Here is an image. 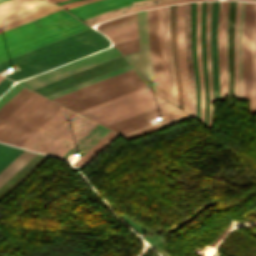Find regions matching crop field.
<instances>
[{"mask_svg":"<svg viewBox=\"0 0 256 256\" xmlns=\"http://www.w3.org/2000/svg\"><path fill=\"white\" fill-rule=\"evenodd\" d=\"M108 40L90 28L23 55L0 63V71L15 68L17 71L5 75L18 81L65 62L108 47Z\"/></svg>","mask_w":256,"mask_h":256,"instance_id":"obj_1","label":"crop field"},{"mask_svg":"<svg viewBox=\"0 0 256 256\" xmlns=\"http://www.w3.org/2000/svg\"><path fill=\"white\" fill-rule=\"evenodd\" d=\"M63 9L0 33V61L88 29Z\"/></svg>","mask_w":256,"mask_h":256,"instance_id":"obj_2","label":"crop field"},{"mask_svg":"<svg viewBox=\"0 0 256 256\" xmlns=\"http://www.w3.org/2000/svg\"><path fill=\"white\" fill-rule=\"evenodd\" d=\"M96 125L62 107L20 147L60 158Z\"/></svg>","mask_w":256,"mask_h":256,"instance_id":"obj_3","label":"crop field"},{"mask_svg":"<svg viewBox=\"0 0 256 256\" xmlns=\"http://www.w3.org/2000/svg\"><path fill=\"white\" fill-rule=\"evenodd\" d=\"M144 86L131 69L53 100L78 112Z\"/></svg>","mask_w":256,"mask_h":256,"instance_id":"obj_4","label":"crop field"},{"mask_svg":"<svg viewBox=\"0 0 256 256\" xmlns=\"http://www.w3.org/2000/svg\"><path fill=\"white\" fill-rule=\"evenodd\" d=\"M165 103L168 102L149 89L83 115L106 126Z\"/></svg>","mask_w":256,"mask_h":256,"instance_id":"obj_5","label":"crop field"},{"mask_svg":"<svg viewBox=\"0 0 256 256\" xmlns=\"http://www.w3.org/2000/svg\"><path fill=\"white\" fill-rule=\"evenodd\" d=\"M118 56H120V54L116 49L108 48L106 50L100 51L93 55L69 63L67 65L61 66L59 68L48 71L41 75L35 76L33 78H27L28 80L19 82L33 89L35 87L41 86L43 84L49 83L51 81L57 80L59 78L65 77L67 75L73 74L75 72H78L80 70L86 69L88 67L94 66L96 64L102 63L104 61L110 60Z\"/></svg>","mask_w":256,"mask_h":256,"instance_id":"obj_6","label":"crop field"},{"mask_svg":"<svg viewBox=\"0 0 256 256\" xmlns=\"http://www.w3.org/2000/svg\"><path fill=\"white\" fill-rule=\"evenodd\" d=\"M137 25L140 35L141 51L124 55V57L133 67V69L138 73V75L143 79V81L152 90L156 91L153 66L150 56L148 21L146 10L137 13Z\"/></svg>","mask_w":256,"mask_h":256,"instance_id":"obj_7","label":"crop field"},{"mask_svg":"<svg viewBox=\"0 0 256 256\" xmlns=\"http://www.w3.org/2000/svg\"><path fill=\"white\" fill-rule=\"evenodd\" d=\"M60 108L61 106L46 99L0 142L19 146Z\"/></svg>","mask_w":256,"mask_h":256,"instance_id":"obj_8","label":"crop field"},{"mask_svg":"<svg viewBox=\"0 0 256 256\" xmlns=\"http://www.w3.org/2000/svg\"><path fill=\"white\" fill-rule=\"evenodd\" d=\"M126 65H128V63L125 61V59L122 56H120L118 58L112 59L110 61L104 62L102 64L88 68L86 70L80 71L73 75L67 76L65 78L59 79L57 81L51 82L41 87L35 88L33 90L46 96L48 94L54 93L56 91L62 90L64 88L70 87L72 85L78 84L80 82L86 81L88 79L94 78L96 76L102 75L104 73L110 72L112 70L118 69Z\"/></svg>","mask_w":256,"mask_h":256,"instance_id":"obj_9","label":"crop field"},{"mask_svg":"<svg viewBox=\"0 0 256 256\" xmlns=\"http://www.w3.org/2000/svg\"><path fill=\"white\" fill-rule=\"evenodd\" d=\"M182 113L184 112L168 103L106 127L119 134H125L149 125L147 121L155 117L162 116L163 119L166 120Z\"/></svg>","mask_w":256,"mask_h":256,"instance_id":"obj_10","label":"crop field"},{"mask_svg":"<svg viewBox=\"0 0 256 256\" xmlns=\"http://www.w3.org/2000/svg\"><path fill=\"white\" fill-rule=\"evenodd\" d=\"M147 12H148V21H149L151 56H152L154 72H155L157 93H159L164 98H166L162 68H161V62H160V56H159V48H158L156 9H150V10H147Z\"/></svg>","mask_w":256,"mask_h":256,"instance_id":"obj_11","label":"crop field"},{"mask_svg":"<svg viewBox=\"0 0 256 256\" xmlns=\"http://www.w3.org/2000/svg\"><path fill=\"white\" fill-rule=\"evenodd\" d=\"M177 31H178V53L179 61L183 80V92H184V111L189 115L190 112V89L188 82V73L186 66V58L184 52V25H183V4L177 5Z\"/></svg>","mask_w":256,"mask_h":256,"instance_id":"obj_12","label":"crop field"},{"mask_svg":"<svg viewBox=\"0 0 256 256\" xmlns=\"http://www.w3.org/2000/svg\"><path fill=\"white\" fill-rule=\"evenodd\" d=\"M45 98L33 94L0 124V139L34 110Z\"/></svg>","mask_w":256,"mask_h":256,"instance_id":"obj_13","label":"crop field"},{"mask_svg":"<svg viewBox=\"0 0 256 256\" xmlns=\"http://www.w3.org/2000/svg\"><path fill=\"white\" fill-rule=\"evenodd\" d=\"M190 9L191 3L184 4V23H185V50L188 65L189 80L191 86V111L192 117L196 118V88L193 73L192 53H191V30H190Z\"/></svg>","mask_w":256,"mask_h":256,"instance_id":"obj_14","label":"crop field"},{"mask_svg":"<svg viewBox=\"0 0 256 256\" xmlns=\"http://www.w3.org/2000/svg\"><path fill=\"white\" fill-rule=\"evenodd\" d=\"M187 1H196V0H156V1H150V2H144L140 4H135V5H130L127 7H123L117 10L109 11L100 15H96L88 20H85L84 22L87 23L89 26H92L98 22H101L103 20L127 14L133 11H137L140 9H145V8H151V7H157V6H162L166 4H172V3H180V2H187Z\"/></svg>","mask_w":256,"mask_h":256,"instance_id":"obj_15","label":"crop field"},{"mask_svg":"<svg viewBox=\"0 0 256 256\" xmlns=\"http://www.w3.org/2000/svg\"><path fill=\"white\" fill-rule=\"evenodd\" d=\"M218 8H219V1L212 2L211 58H212V76H213V84H214V100L219 99V75H218V54H217Z\"/></svg>","mask_w":256,"mask_h":256,"instance_id":"obj_16","label":"crop field"},{"mask_svg":"<svg viewBox=\"0 0 256 256\" xmlns=\"http://www.w3.org/2000/svg\"><path fill=\"white\" fill-rule=\"evenodd\" d=\"M162 28H163V40H164V54L169 74L170 80V93H171V102L177 105L176 98V88H175V79H174V70L172 62V54L169 42V14L168 6L162 8Z\"/></svg>","mask_w":256,"mask_h":256,"instance_id":"obj_17","label":"crop field"},{"mask_svg":"<svg viewBox=\"0 0 256 256\" xmlns=\"http://www.w3.org/2000/svg\"><path fill=\"white\" fill-rule=\"evenodd\" d=\"M169 10H170V42H171L174 69H175L178 107L183 109L182 81L180 77L179 63H178V56H177L176 5L169 6Z\"/></svg>","mask_w":256,"mask_h":256,"instance_id":"obj_18","label":"crop field"},{"mask_svg":"<svg viewBox=\"0 0 256 256\" xmlns=\"http://www.w3.org/2000/svg\"><path fill=\"white\" fill-rule=\"evenodd\" d=\"M140 0H99L96 2L88 3L85 5L77 6L71 9H67L69 12L73 13L77 17L81 18L85 15L94 13L96 11L106 9L109 7L129 3V2H135Z\"/></svg>","mask_w":256,"mask_h":256,"instance_id":"obj_19","label":"crop field"},{"mask_svg":"<svg viewBox=\"0 0 256 256\" xmlns=\"http://www.w3.org/2000/svg\"><path fill=\"white\" fill-rule=\"evenodd\" d=\"M224 15L219 8L218 24V53H219V74H220V99L225 100V71H224Z\"/></svg>","mask_w":256,"mask_h":256,"instance_id":"obj_20","label":"crop field"},{"mask_svg":"<svg viewBox=\"0 0 256 256\" xmlns=\"http://www.w3.org/2000/svg\"><path fill=\"white\" fill-rule=\"evenodd\" d=\"M234 28L228 22L227 55H228V104L233 105V73H234Z\"/></svg>","mask_w":256,"mask_h":256,"instance_id":"obj_21","label":"crop field"},{"mask_svg":"<svg viewBox=\"0 0 256 256\" xmlns=\"http://www.w3.org/2000/svg\"><path fill=\"white\" fill-rule=\"evenodd\" d=\"M242 99H249V112H250V50L242 38Z\"/></svg>","mask_w":256,"mask_h":256,"instance_id":"obj_22","label":"crop field"},{"mask_svg":"<svg viewBox=\"0 0 256 256\" xmlns=\"http://www.w3.org/2000/svg\"><path fill=\"white\" fill-rule=\"evenodd\" d=\"M200 7H201V2L197 3V8H196V43H197V63H198V69H199L200 93H201L200 121L203 123L205 100H204L203 76H202V70H201V57H200Z\"/></svg>","mask_w":256,"mask_h":256,"instance_id":"obj_23","label":"crop field"},{"mask_svg":"<svg viewBox=\"0 0 256 256\" xmlns=\"http://www.w3.org/2000/svg\"><path fill=\"white\" fill-rule=\"evenodd\" d=\"M33 93L34 92L24 87L18 93H16L6 104L0 108V123Z\"/></svg>","mask_w":256,"mask_h":256,"instance_id":"obj_24","label":"crop field"},{"mask_svg":"<svg viewBox=\"0 0 256 256\" xmlns=\"http://www.w3.org/2000/svg\"><path fill=\"white\" fill-rule=\"evenodd\" d=\"M35 154L36 153L27 150L20 154L12 163H10L2 172H0V185H2Z\"/></svg>","mask_w":256,"mask_h":256,"instance_id":"obj_25","label":"crop field"},{"mask_svg":"<svg viewBox=\"0 0 256 256\" xmlns=\"http://www.w3.org/2000/svg\"><path fill=\"white\" fill-rule=\"evenodd\" d=\"M129 69H131V66H130V65H128V66H126V67H123V68H120V69H118V70L112 71V72H110V73L104 74V75H102V76L96 77V78H94V79L88 80V81H86V82L80 83V84H78V85L72 86V87H70V88L64 89V90H62V91L56 92V93H54V94L48 95V96H46V97H48V98H50V99H53V98H55V97L61 96V95L66 94V93H68V92H71V91H74V90H76V89L82 88V87H84V86H87V85H89V84L95 83V82H97V81H100V80H102V79L108 78V77H110V76L116 75V74H118V73H121V72L126 71V70H129Z\"/></svg>","mask_w":256,"mask_h":256,"instance_id":"obj_26","label":"crop field"},{"mask_svg":"<svg viewBox=\"0 0 256 256\" xmlns=\"http://www.w3.org/2000/svg\"><path fill=\"white\" fill-rule=\"evenodd\" d=\"M117 134L109 132L105 135L97 144H95L88 152H86L78 161H76L74 166H82L87 161H89L96 153H98L108 142H110Z\"/></svg>","mask_w":256,"mask_h":256,"instance_id":"obj_27","label":"crop field"},{"mask_svg":"<svg viewBox=\"0 0 256 256\" xmlns=\"http://www.w3.org/2000/svg\"><path fill=\"white\" fill-rule=\"evenodd\" d=\"M24 149L0 143V171L12 162Z\"/></svg>","mask_w":256,"mask_h":256,"instance_id":"obj_28","label":"crop field"},{"mask_svg":"<svg viewBox=\"0 0 256 256\" xmlns=\"http://www.w3.org/2000/svg\"><path fill=\"white\" fill-rule=\"evenodd\" d=\"M195 7L196 3H192V10H191V29H192V52H193V63L195 69V78L197 84V119L199 120V85H198V70H197V63H196V43H195Z\"/></svg>","mask_w":256,"mask_h":256,"instance_id":"obj_29","label":"crop field"},{"mask_svg":"<svg viewBox=\"0 0 256 256\" xmlns=\"http://www.w3.org/2000/svg\"><path fill=\"white\" fill-rule=\"evenodd\" d=\"M188 117H190V116H188V115H186V114L184 113V114H182V115H179V116H176V117H174V118L168 119V120H166V121H163V122H161V123L155 124V125L150 126V127H147V128L142 129V130H140V131H137V132H134V133H132V134L126 135V136H124V137H126V138L129 139V140H131V139H133V138H136V137H139V136H141V135L147 134V133H149V132L155 131V130H157V129H160V128H162V127L168 126V125L173 124V123H175V122H178V121H180V120L186 119V118H188Z\"/></svg>","mask_w":256,"mask_h":256,"instance_id":"obj_30","label":"crop field"},{"mask_svg":"<svg viewBox=\"0 0 256 256\" xmlns=\"http://www.w3.org/2000/svg\"><path fill=\"white\" fill-rule=\"evenodd\" d=\"M253 9H254V3L245 2L243 36L245 37L249 47L251 44V27H252V19H253Z\"/></svg>","mask_w":256,"mask_h":256,"instance_id":"obj_31","label":"crop field"},{"mask_svg":"<svg viewBox=\"0 0 256 256\" xmlns=\"http://www.w3.org/2000/svg\"><path fill=\"white\" fill-rule=\"evenodd\" d=\"M157 20H158L160 54H161V60H162V66H163L166 96H167V99L170 101L169 81H168L167 69H166V64H165V59H164V54H163V40H162V28H161V8L157 9Z\"/></svg>","mask_w":256,"mask_h":256,"instance_id":"obj_32","label":"crop field"},{"mask_svg":"<svg viewBox=\"0 0 256 256\" xmlns=\"http://www.w3.org/2000/svg\"><path fill=\"white\" fill-rule=\"evenodd\" d=\"M61 9L60 7H58L57 5L52 6L50 8L44 9L42 11L36 12L34 14L28 15L26 17L20 18L18 20L12 21L10 23L4 24L2 26H0V31L6 30L8 28H11L13 26L19 25L21 23L27 22L29 20L35 19L37 17L43 16L45 14L51 13L53 11L59 10Z\"/></svg>","mask_w":256,"mask_h":256,"instance_id":"obj_33","label":"crop field"},{"mask_svg":"<svg viewBox=\"0 0 256 256\" xmlns=\"http://www.w3.org/2000/svg\"><path fill=\"white\" fill-rule=\"evenodd\" d=\"M143 239H145L150 245L164 239L162 237H159L156 235V233H151V234H147L146 236L142 237ZM158 246H160L165 252L168 253L167 251V241L162 240L158 243H156ZM156 244L152 245V247L159 252L162 256H169L167 253H165L160 247H158Z\"/></svg>","mask_w":256,"mask_h":256,"instance_id":"obj_34","label":"crop field"},{"mask_svg":"<svg viewBox=\"0 0 256 256\" xmlns=\"http://www.w3.org/2000/svg\"><path fill=\"white\" fill-rule=\"evenodd\" d=\"M251 113H256V59L251 57Z\"/></svg>","mask_w":256,"mask_h":256,"instance_id":"obj_35","label":"crop field"},{"mask_svg":"<svg viewBox=\"0 0 256 256\" xmlns=\"http://www.w3.org/2000/svg\"><path fill=\"white\" fill-rule=\"evenodd\" d=\"M52 5H54V4L45 2V3H42V4H40V5L34 6V7H32V8L23 10V11L18 12V13H15V14H13V15L4 17V18L0 19V25H1V24H4V23H6V22L12 21V20H14V19L20 18V17H22V16L28 15V14H30V13L36 12V11H38V10L44 9V8H46V7L52 6Z\"/></svg>","mask_w":256,"mask_h":256,"instance_id":"obj_36","label":"crop field"},{"mask_svg":"<svg viewBox=\"0 0 256 256\" xmlns=\"http://www.w3.org/2000/svg\"><path fill=\"white\" fill-rule=\"evenodd\" d=\"M44 1H40V0H30L28 2H25V3H22L20 5H17V6H14V7H11L9 9H6V10H3V11H0V18L4 17V16H7V15H10V14H13L15 12H18V11H21L23 9H26V8H29V7H32L34 5H37V4H40Z\"/></svg>","mask_w":256,"mask_h":256,"instance_id":"obj_37","label":"crop field"},{"mask_svg":"<svg viewBox=\"0 0 256 256\" xmlns=\"http://www.w3.org/2000/svg\"><path fill=\"white\" fill-rule=\"evenodd\" d=\"M116 46L119 49V51L122 53V55L139 51L140 50L139 38L117 44Z\"/></svg>","mask_w":256,"mask_h":256,"instance_id":"obj_38","label":"crop field"},{"mask_svg":"<svg viewBox=\"0 0 256 256\" xmlns=\"http://www.w3.org/2000/svg\"><path fill=\"white\" fill-rule=\"evenodd\" d=\"M136 29H137V26H136V22H135V23L128 24V25H125V26H122V27H119V28H116V29H112V30H109V31H106V32H102V33L105 36H107L108 38H110V37L115 36L117 34L132 31V30H136Z\"/></svg>","mask_w":256,"mask_h":256,"instance_id":"obj_39","label":"crop field"},{"mask_svg":"<svg viewBox=\"0 0 256 256\" xmlns=\"http://www.w3.org/2000/svg\"><path fill=\"white\" fill-rule=\"evenodd\" d=\"M147 89H149L148 86H146V87H144V88H141V89H138V90H136V91L130 92V93H128V94H125V95H123V96L117 97V98H115V99L109 100V101H107V102L101 103V104L96 105V106H94V107L88 108V109H86V110L80 111V112H78V113L83 114V113H85V112L91 111V110H93V109L99 108V107H101V106L107 105V104H109V103L115 102V101H117V100L123 99V98H125V97L131 96V95H133V94L139 93V92L144 91V90H147Z\"/></svg>","mask_w":256,"mask_h":256,"instance_id":"obj_40","label":"crop field"},{"mask_svg":"<svg viewBox=\"0 0 256 256\" xmlns=\"http://www.w3.org/2000/svg\"><path fill=\"white\" fill-rule=\"evenodd\" d=\"M135 18H136V13L130 14V15H127V16H123V17H120V18H116V19H113V20H110V21H106V22H103L100 25H98L97 30H99L101 28H104V27H107V26L112 25V24L124 22V21H127V20L135 19Z\"/></svg>","mask_w":256,"mask_h":256,"instance_id":"obj_41","label":"crop field"},{"mask_svg":"<svg viewBox=\"0 0 256 256\" xmlns=\"http://www.w3.org/2000/svg\"><path fill=\"white\" fill-rule=\"evenodd\" d=\"M137 37H138V33H137V30H136V31H133V32H129V33L117 36V37L110 38V40L114 44H117V43H120V42H124V41L130 40V39L137 38Z\"/></svg>","mask_w":256,"mask_h":256,"instance_id":"obj_42","label":"crop field"},{"mask_svg":"<svg viewBox=\"0 0 256 256\" xmlns=\"http://www.w3.org/2000/svg\"><path fill=\"white\" fill-rule=\"evenodd\" d=\"M238 75H239V88L238 99H241V36L238 33Z\"/></svg>","mask_w":256,"mask_h":256,"instance_id":"obj_43","label":"crop field"},{"mask_svg":"<svg viewBox=\"0 0 256 256\" xmlns=\"http://www.w3.org/2000/svg\"><path fill=\"white\" fill-rule=\"evenodd\" d=\"M22 86L15 84L11 89H9L1 98H0V107L9 100L17 91H19Z\"/></svg>","mask_w":256,"mask_h":256,"instance_id":"obj_44","label":"crop field"},{"mask_svg":"<svg viewBox=\"0 0 256 256\" xmlns=\"http://www.w3.org/2000/svg\"><path fill=\"white\" fill-rule=\"evenodd\" d=\"M208 10H209V2H207V8H206V54H207V67H208V82H209V99L211 104V98H210V80H209V60H208V49H207V37H208ZM209 117H210V108H209ZM207 127L209 128V121Z\"/></svg>","mask_w":256,"mask_h":256,"instance_id":"obj_45","label":"crop field"},{"mask_svg":"<svg viewBox=\"0 0 256 256\" xmlns=\"http://www.w3.org/2000/svg\"><path fill=\"white\" fill-rule=\"evenodd\" d=\"M251 50L256 56V3H255V10H254V21H253V28H252V45Z\"/></svg>","mask_w":256,"mask_h":256,"instance_id":"obj_46","label":"crop field"},{"mask_svg":"<svg viewBox=\"0 0 256 256\" xmlns=\"http://www.w3.org/2000/svg\"><path fill=\"white\" fill-rule=\"evenodd\" d=\"M210 9H211V2H210ZM208 45H209V59H210L211 98H212L213 84H212V76H211V58H210V11H209V37H208ZM212 113H213V104H211L210 128H211V123H212Z\"/></svg>","mask_w":256,"mask_h":256,"instance_id":"obj_47","label":"crop field"},{"mask_svg":"<svg viewBox=\"0 0 256 256\" xmlns=\"http://www.w3.org/2000/svg\"><path fill=\"white\" fill-rule=\"evenodd\" d=\"M235 90H234V96H237V87H238V79H237V31L235 30Z\"/></svg>","mask_w":256,"mask_h":256,"instance_id":"obj_48","label":"crop field"},{"mask_svg":"<svg viewBox=\"0 0 256 256\" xmlns=\"http://www.w3.org/2000/svg\"><path fill=\"white\" fill-rule=\"evenodd\" d=\"M235 11H236V2L230 1L228 20L231 22L233 26H234Z\"/></svg>","mask_w":256,"mask_h":256,"instance_id":"obj_49","label":"crop field"},{"mask_svg":"<svg viewBox=\"0 0 256 256\" xmlns=\"http://www.w3.org/2000/svg\"><path fill=\"white\" fill-rule=\"evenodd\" d=\"M13 82L7 80V79H3L1 82H0V96L7 90L9 89L13 84ZM12 84V85H11ZM11 85V86H10Z\"/></svg>","mask_w":256,"mask_h":256,"instance_id":"obj_50","label":"crop field"},{"mask_svg":"<svg viewBox=\"0 0 256 256\" xmlns=\"http://www.w3.org/2000/svg\"><path fill=\"white\" fill-rule=\"evenodd\" d=\"M23 1H25V0H9V1L3 2L0 4V10L7 8L9 6L15 5L17 3L23 2Z\"/></svg>","mask_w":256,"mask_h":256,"instance_id":"obj_51","label":"crop field"},{"mask_svg":"<svg viewBox=\"0 0 256 256\" xmlns=\"http://www.w3.org/2000/svg\"><path fill=\"white\" fill-rule=\"evenodd\" d=\"M92 1H96V0H83V1L72 2V3H68L66 5H62V7L67 9V8H70V7H74V6L81 5V4L88 3V2H92Z\"/></svg>","mask_w":256,"mask_h":256,"instance_id":"obj_52","label":"crop field"},{"mask_svg":"<svg viewBox=\"0 0 256 256\" xmlns=\"http://www.w3.org/2000/svg\"><path fill=\"white\" fill-rule=\"evenodd\" d=\"M216 203H217L216 201H213V202H211V203H209V204H206V205L202 206L201 208H199L198 210H196L193 215L196 216L197 214H199L201 211H203V210L206 209L207 207H209V206H211V205H215ZM180 224H182V223H180ZM180 224H178V225H180ZM178 225H176V226H178ZM176 226H174V227H176ZM174 227H172V228H174ZM172 228H170V229H172ZM170 229H168V230H170ZM168 230H166V231H168Z\"/></svg>","mask_w":256,"mask_h":256,"instance_id":"obj_53","label":"crop field"},{"mask_svg":"<svg viewBox=\"0 0 256 256\" xmlns=\"http://www.w3.org/2000/svg\"><path fill=\"white\" fill-rule=\"evenodd\" d=\"M243 7H244V2H241L240 20H239V28H238V31H239L241 34H242Z\"/></svg>","mask_w":256,"mask_h":256,"instance_id":"obj_54","label":"crop field"},{"mask_svg":"<svg viewBox=\"0 0 256 256\" xmlns=\"http://www.w3.org/2000/svg\"><path fill=\"white\" fill-rule=\"evenodd\" d=\"M135 21H136V19L135 20H131V21H127V22H124V23L112 25V26H109L107 28L101 29L99 31L102 32V31L109 30V29H112V28H115V27H119V26H122V25H125V24H128V23H132V22H135Z\"/></svg>","mask_w":256,"mask_h":256,"instance_id":"obj_55","label":"crop field"},{"mask_svg":"<svg viewBox=\"0 0 256 256\" xmlns=\"http://www.w3.org/2000/svg\"><path fill=\"white\" fill-rule=\"evenodd\" d=\"M227 20L225 19V56H226ZM226 96H227V61H226Z\"/></svg>","mask_w":256,"mask_h":256,"instance_id":"obj_56","label":"crop field"},{"mask_svg":"<svg viewBox=\"0 0 256 256\" xmlns=\"http://www.w3.org/2000/svg\"><path fill=\"white\" fill-rule=\"evenodd\" d=\"M130 4H131V3H130ZM126 5H129V4H126ZM126 5H122V6H117V7L109 8V9H107V10H105V11L98 12V13H95V14H91V15L86 16V17L81 18V19L84 20V19H87V18H89V17H91V16H93V15H96V14H99V13H103V12H106V11H109V10H112V9L120 8V7H123V6H126Z\"/></svg>","mask_w":256,"mask_h":256,"instance_id":"obj_57","label":"crop field"},{"mask_svg":"<svg viewBox=\"0 0 256 256\" xmlns=\"http://www.w3.org/2000/svg\"><path fill=\"white\" fill-rule=\"evenodd\" d=\"M239 8H240V2H237V12H236V21H235L236 30H237L238 20H239Z\"/></svg>","mask_w":256,"mask_h":256,"instance_id":"obj_58","label":"crop field"},{"mask_svg":"<svg viewBox=\"0 0 256 256\" xmlns=\"http://www.w3.org/2000/svg\"><path fill=\"white\" fill-rule=\"evenodd\" d=\"M221 4H222V9L224 11V14L226 12V1H221Z\"/></svg>","mask_w":256,"mask_h":256,"instance_id":"obj_59","label":"crop field"},{"mask_svg":"<svg viewBox=\"0 0 256 256\" xmlns=\"http://www.w3.org/2000/svg\"><path fill=\"white\" fill-rule=\"evenodd\" d=\"M72 1H77V0H68V1H65V2H62V3H58L59 5H62V4H66L68 2H72Z\"/></svg>","mask_w":256,"mask_h":256,"instance_id":"obj_60","label":"crop field"},{"mask_svg":"<svg viewBox=\"0 0 256 256\" xmlns=\"http://www.w3.org/2000/svg\"><path fill=\"white\" fill-rule=\"evenodd\" d=\"M50 2H57V1H61V0H48Z\"/></svg>","mask_w":256,"mask_h":256,"instance_id":"obj_61","label":"crop field"},{"mask_svg":"<svg viewBox=\"0 0 256 256\" xmlns=\"http://www.w3.org/2000/svg\"><path fill=\"white\" fill-rule=\"evenodd\" d=\"M146 1H149V0H146ZM140 2H144V1H140ZM135 3H139V2H135ZM134 4V3H133Z\"/></svg>","mask_w":256,"mask_h":256,"instance_id":"obj_62","label":"crop field"},{"mask_svg":"<svg viewBox=\"0 0 256 256\" xmlns=\"http://www.w3.org/2000/svg\"><path fill=\"white\" fill-rule=\"evenodd\" d=\"M3 78H4V77L1 76V77H0V81H1Z\"/></svg>","mask_w":256,"mask_h":256,"instance_id":"obj_63","label":"crop field"},{"mask_svg":"<svg viewBox=\"0 0 256 256\" xmlns=\"http://www.w3.org/2000/svg\"><path fill=\"white\" fill-rule=\"evenodd\" d=\"M3 1H6V0H0V3L3 2Z\"/></svg>","mask_w":256,"mask_h":256,"instance_id":"obj_64","label":"crop field"},{"mask_svg":"<svg viewBox=\"0 0 256 256\" xmlns=\"http://www.w3.org/2000/svg\"><path fill=\"white\" fill-rule=\"evenodd\" d=\"M247 1H256V0H247Z\"/></svg>","mask_w":256,"mask_h":256,"instance_id":"obj_65","label":"crop field"}]
</instances>
